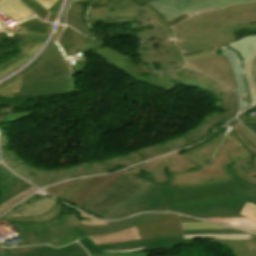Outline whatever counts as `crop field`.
Segmentation results:
<instances>
[{
	"mask_svg": "<svg viewBox=\"0 0 256 256\" xmlns=\"http://www.w3.org/2000/svg\"><path fill=\"white\" fill-rule=\"evenodd\" d=\"M94 3L106 4L107 7L89 10L87 21L91 25L98 21L102 24H115L138 19L144 23L142 25L132 24L129 26L131 30L146 26L155 27L137 33L143 42L142 47L148 48V51L141 50L139 55L153 69L174 70L184 66L183 57L173 42L174 33L168 26L169 24L147 3L141 6L132 0H96Z\"/></svg>",
	"mask_w": 256,
	"mask_h": 256,
	"instance_id": "obj_1",
	"label": "crop field"
},
{
	"mask_svg": "<svg viewBox=\"0 0 256 256\" xmlns=\"http://www.w3.org/2000/svg\"><path fill=\"white\" fill-rule=\"evenodd\" d=\"M175 43L183 55L227 45L256 33V3L190 17L173 27Z\"/></svg>",
	"mask_w": 256,
	"mask_h": 256,
	"instance_id": "obj_2",
	"label": "crop field"
},
{
	"mask_svg": "<svg viewBox=\"0 0 256 256\" xmlns=\"http://www.w3.org/2000/svg\"><path fill=\"white\" fill-rule=\"evenodd\" d=\"M244 203L245 200L232 196L230 180L195 188L158 186L152 200L137 211L169 210L197 218L243 217L238 214Z\"/></svg>",
	"mask_w": 256,
	"mask_h": 256,
	"instance_id": "obj_3",
	"label": "crop field"
},
{
	"mask_svg": "<svg viewBox=\"0 0 256 256\" xmlns=\"http://www.w3.org/2000/svg\"><path fill=\"white\" fill-rule=\"evenodd\" d=\"M94 54L105 58L116 68L133 76L140 82L173 92L178 86L172 83L171 80H174L182 85L196 87L214 95L218 100L216 107H221L228 111H237L238 100L236 94L205 75L186 69L172 72H155L147 65L133 60L107 46L94 51ZM158 73L161 74L158 75Z\"/></svg>",
	"mask_w": 256,
	"mask_h": 256,
	"instance_id": "obj_4",
	"label": "crop field"
},
{
	"mask_svg": "<svg viewBox=\"0 0 256 256\" xmlns=\"http://www.w3.org/2000/svg\"><path fill=\"white\" fill-rule=\"evenodd\" d=\"M155 188L129 173L100 195L85 199L84 210L103 219H119L151 200Z\"/></svg>",
	"mask_w": 256,
	"mask_h": 256,
	"instance_id": "obj_5",
	"label": "crop field"
},
{
	"mask_svg": "<svg viewBox=\"0 0 256 256\" xmlns=\"http://www.w3.org/2000/svg\"><path fill=\"white\" fill-rule=\"evenodd\" d=\"M223 133L218 136L216 139H212L208 143L186 153L184 156L191 159L193 162L201 166L198 172L192 173H174L175 182H204L206 184L217 183L220 181H224L230 178H224V173L220 167L225 161L230 160L239 154L246 152L242 145H238L239 142L234 140L232 137L228 139V141L223 144L217 153L214 163L211 167L205 166L203 161L210 158L220 139L222 138ZM241 144V143H240Z\"/></svg>",
	"mask_w": 256,
	"mask_h": 256,
	"instance_id": "obj_6",
	"label": "crop field"
},
{
	"mask_svg": "<svg viewBox=\"0 0 256 256\" xmlns=\"http://www.w3.org/2000/svg\"><path fill=\"white\" fill-rule=\"evenodd\" d=\"M27 245L50 244L60 247L80 239L73 226L80 225L75 215L58 216L43 224L12 222Z\"/></svg>",
	"mask_w": 256,
	"mask_h": 256,
	"instance_id": "obj_7",
	"label": "crop field"
},
{
	"mask_svg": "<svg viewBox=\"0 0 256 256\" xmlns=\"http://www.w3.org/2000/svg\"><path fill=\"white\" fill-rule=\"evenodd\" d=\"M70 75V78L65 76ZM78 91L70 69L42 74L23 75L21 93L17 97L59 95Z\"/></svg>",
	"mask_w": 256,
	"mask_h": 256,
	"instance_id": "obj_8",
	"label": "crop field"
},
{
	"mask_svg": "<svg viewBox=\"0 0 256 256\" xmlns=\"http://www.w3.org/2000/svg\"><path fill=\"white\" fill-rule=\"evenodd\" d=\"M129 172L122 170L118 173L67 181L46 189L53 196L66 199L83 209V199L95 196L111 186L121 176ZM62 190L61 192L59 190Z\"/></svg>",
	"mask_w": 256,
	"mask_h": 256,
	"instance_id": "obj_9",
	"label": "crop field"
},
{
	"mask_svg": "<svg viewBox=\"0 0 256 256\" xmlns=\"http://www.w3.org/2000/svg\"><path fill=\"white\" fill-rule=\"evenodd\" d=\"M256 0H153L148 4L166 21L184 13L188 17L211 11L231 4L255 2Z\"/></svg>",
	"mask_w": 256,
	"mask_h": 256,
	"instance_id": "obj_10",
	"label": "crop field"
},
{
	"mask_svg": "<svg viewBox=\"0 0 256 256\" xmlns=\"http://www.w3.org/2000/svg\"><path fill=\"white\" fill-rule=\"evenodd\" d=\"M114 163L109 159L87 161L67 167L55 168L52 171L41 169L31 183L37 186H45L58 180L71 178L75 175L103 173L115 169Z\"/></svg>",
	"mask_w": 256,
	"mask_h": 256,
	"instance_id": "obj_11",
	"label": "crop field"
},
{
	"mask_svg": "<svg viewBox=\"0 0 256 256\" xmlns=\"http://www.w3.org/2000/svg\"><path fill=\"white\" fill-rule=\"evenodd\" d=\"M77 242L90 253L103 252L102 250H126L138 247H145L147 251L171 249L175 245L190 244L193 242V239H183L182 234L179 233L144 241L137 240L125 243L104 244L97 246L93 242H91L87 237H84Z\"/></svg>",
	"mask_w": 256,
	"mask_h": 256,
	"instance_id": "obj_12",
	"label": "crop field"
},
{
	"mask_svg": "<svg viewBox=\"0 0 256 256\" xmlns=\"http://www.w3.org/2000/svg\"><path fill=\"white\" fill-rule=\"evenodd\" d=\"M216 53L217 51L187 58L185 59V67L207 74L236 92L234 79L227 59Z\"/></svg>",
	"mask_w": 256,
	"mask_h": 256,
	"instance_id": "obj_13",
	"label": "crop field"
},
{
	"mask_svg": "<svg viewBox=\"0 0 256 256\" xmlns=\"http://www.w3.org/2000/svg\"><path fill=\"white\" fill-rule=\"evenodd\" d=\"M62 205L47 196L31 204L7 212L4 217L8 221L43 223L56 218Z\"/></svg>",
	"mask_w": 256,
	"mask_h": 256,
	"instance_id": "obj_14",
	"label": "crop field"
},
{
	"mask_svg": "<svg viewBox=\"0 0 256 256\" xmlns=\"http://www.w3.org/2000/svg\"><path fill=\"white\" fill-rule=\"evenodd\" d=\"M227 46L241 56L246 85L250 93L251 105H253L256 103V86L252 75V62L256 58V35L241 38Z\"/></svg>",
	"mask_w": 256,
	"mask_h": 256,
	"instance_id": "obj_15",
	"label": "crop field"
},
{
	"mask_svg": "<svg viewBox=\"0 0 256 256\" xmlns=\"http://www.w3.org/2000/svg\"><path fill=\"white\" fill-rule=\"evenodd\" d=\"M166 213H144L131 218H127L123 221L113 222L111 224H105L102 226H84L80 225L74 227V230L80 236H90L97 234L114 233L130 227H134L140 224L150 222Z\"/></svg>",
	"mask_w": 256,
	"mask_h": 256,
	"instance_id": "obj_16",
	"label": "crop field"
},
{
	"mask_svg": "<svg viewBox=\"0 0 256 256\" xmlns=\"http://www.w3.org/2000/svg\"><path fill=\"white\" fill-rule=\"evenodd\" d=\"M185 144H187L185 140L181 136H178V137L171 138L165 142L153 145L151 147L133 151L127 156L117 157L111 160L115 162V165L119 164L125 167L131 164H135V163L150 159L156 155L170 152ZM150 150H152V152H150ZM143 153H145V155H143Z\"/></svg>",
	"mask_w": 256,
	"mask_h": 256,
	"instance_id": "obj_17",
	"label": "crop field"
},
{
	"mask_svg": "<svg viewBox=\"0 0 256 256\" xmlns=\"http://www.w3.org/2000/svg\"><path fill=\"white\" fill-rule=\"evenodd\" d=\"M220 49H222L221 55H223L225 58L229 60V63L232 69V73H233L236 87H237V92L240 98V105H239V112H240L241 110L247 108L250 105V100H249V93L245 85V79L243 76L240 56L238 55L237 52L233 51L230 48H227L226 46H223V47H217L211 50H205L202 52L186 55L184 56V58L214 51V50H220Z\"/></svg>",
	"mask_w": 256,
	"mask_h": 256,
	"instance_id": "obj_18",
	"label": "crop field"
},
{
	"mask_svg": "<svg viewBox=\"0 0 256 256\" xmlns=\"http://www.w3.org/2000/svg\"><path fill=\"white\" fill-rule=\"evenodd\" d=\"M7 249L9 256H88L87 252L78 243H72L61 248L43 245Z\"/></svg>",
	"mask_w": 256,
	"mask_h": 256,
	"instance_id": "obj_19",
	"label": "crop field"
},
{
	"mask_svg": "<svg viewBox=\"0 0 256 256\" xmlns=\"http://www.w3.org/2000/svg\"><path fill=\"white\" fill-rule=\"evenodd\" d=\"M64 53L61 48H57L54 40L50 43L40 60L26 73H41L44 71H54L68 68Z\"/></svg>",
	"mask_w": 256,
	"mask_h": 256,
	"instance_id": "obj_20",
	"label": "crop field"
},
{
	"mask_svg": "<svg viewBox=\"0 0 256 256\" xmlns=\"http://www.w3.org/2000/svg\"><path fill=\"white\" fill-rule=\"evenodd\" d=\"M234 115L235 114L224 112L221 114L206 116L197 127L183 134L182 137L186 139L188 145L197 143L209 135L207 131L211 125L216 124V122H219V125H223V122L225 123L227 120L234 117Z\"/></svg>",
	"mask_w": 256,
	"mask_h": 256,
	"instance_id": "obj_21",
	"label": "crop field"
},
{
	"mask_svg": "<svg viewBox=\"0 0 256 256\" xmlns=\"http://www.w3.org/2000/svg\"><path fill=\"white\" fill-rule=\"evenodd\" d=\"M240 215L248 218H223V219H205L249 231L256 232V205L246 201Z\"/></svg>",
	"mask_w": 256,
	"mask_h": 256,
	"instance_id": "obj_22",
	"label": "crop field"
},
{
	"mask_svg": "<svg viewBox=\"0 0 256 256\" xmlns=\"http://www.w3.org/2000/svg\"><path fill=\"white\" fill-rule=\"evenodd\" d=\"M103 42V39L89 40L69 29L65 31L59 40V44L63 48L66 56Z\"/></svg>",
	"mask_w": 256,
	"mask_h": 256,
	"instance_id": "obj_23",
	"label": "crop field"
},
{
	"mask_svg": "<svg viewBox=\"0 0 256 256\" xmlns=\"http://www.w3.org/2000/svg\"><path fill=\"white\" fill-rule=\"evenodd\" d=\"M209 243H220L228 246L234 256H256V236L253 235H250L248 240L216 239L209 241Z\"/></svg>",
	"mask_w": 256,
	"mask_h": 256,
	"instance_id": "obj_24",
	"label": "crop field"
},
{
	"mask_svg": "<svg viewBox=\"0 0 256 256\" xmlns=\"http://www.w3.org/2000/svg\"><path fill=\"white\" fill-rule=\"evenodd\" d=\"M141 240L181 232L179 221L165 222L162 224L142 227L137 229Z\"/></svg>",
	"mask_w": 256,
	"mask_h": 256,
	"instance_id": "obj_25",
	"label": "crop field"
},
{
	"mask_svg": "<svg viewBox=\"0 0 256 256\" xmlns=\"http://www.w3.org/2000/svg\"><path fill=\"white\" fill-rule=\"evenodd\" d=\"M165 161H167L168 173L182 171V170H188V169L196 168V166H197V165L196 166L193 165L192 163H190L189 161H187L186 159L181 157L176 152H174L168 156L152 160V161L146 163V165H148L150 168H152V167H154L158 164H161Z\"/></svg>",
	"mask_w": 256,
	"mask_h": 256,
	"instance_id": "obj_26",
	"label": "crop field"
},
{
	"mask_svg": "<svg viewBox=\"0 0 256 256\" xmlns=\"http://www.w3.org/2000/svg\"><path fill=\"white\" fill-rule=\"evenodd\" d=\"M88 238L96 244L125 242L140 239L135 227L114 234L90 236Z\"/></svg>",
	"mask_w": 256,
	"mask_h": 256,
	"instance_id": "obj_27",
	"label": "crop field"
},
{
	"mask_svg": "<svg viewBox=\"0 0 256 256\" xmlns=\"http://www.w3.org/2000/svg\"><path fill=\"white\" fill-rule=\"evenodd\" d=\"M142 169H144L146 172H149V174H151V176H146L143 179H146L147 181H150L154 184L168 182L166 162L152 169L147 167L145 164H142V165L134 166L128 169V171L138 176V173H140V170Z\"/></svg>",
	"mask_w": 256,
	"mask_h": 256,
	"instance_id": "obj_28",
	"label": "crop field"
},
{
	"mask_svg": "<svg viewBox=\"0 0 256 256\" xmlns=\"http://www.w3.org/2000/svg\"><path fill=\"white\" fill-rule=\"evenodd\" d=\"M231 175H232V185H233V196L249 200L256 204V187L250 186L242 182L233 169V164H231Z\"/></svg>",
	"mask_w": 256,
	"mask_h": 256,
	"instance_id": "obj_29",
	"label": "crop field"
},
{
	"mask_svg": "<svg viewBox=\"0 0 256 256\" xmlns=\"http://www.w3.org/2000/svg\"><path fill=\"white\" fill-rule=\"evenodd\" d=\"M0 36H8L12 41L16 40V38H22L24 39V41L16 43L17 45H21V44L35 42V41H43L46 34L42 35L25 28H23V30L19 33H13L10 31L9 28H6L0 31Z\"/></svg>",
	"mask_w": 256,
	"mask_h": 256,
	"instance_id": "obj_30",
	"label": "crop field"
},
{
	"mask_svg": "<svg viewBox=\"0 0 256 256\" xmlns=\"http://www.w3.org/2000/svg\"><path fill=\"white\" fill-rule=\"evenodd\" d=\"M8 17L17 21L32 15V13L18 0H14L0 9Z\"/></svg>",
	"mask_w": 256,
	"mask_h": 256,
	"instance_id": "obj_31",
	"label": "crop field"
},
{
	"mask_svg": "<svg viewBox=\"0 0 256 256\" xmlns=\"http://www.w3.org/2000/svg\"><path fill=\"white\" fill-rule=\"evenodd\" d=\"M103 46H105V43L94 46V47H91V48H88V49H85V50L80 51L78 53L72 54L73 59L68 60V62L71 66L73 74L75 75V74L85 72V70L87 68V64H88V61L86 60L85 55H84V53L86 51L95 50V49L103 47Z\"/></svg>",
	"mask_w": 256,
	"mask_h": 256,
	"instance_id": "obj_32",
	"label": "crop field"
},
{
	"mask_svg": "<svg viewBox=\"0 0 256 256\" xmlns=\"http://www.w3.org/2000/svg\"><path fill=\"white\" fill-rule=\"evenodd\" d=\"M80 11H81V7L75 4V2H73L70 8L69 17H68L69 24L72 25L74 28H76L78 31L86 34L89 37H92L88 29L85 27V25L81 21Z\"/></svg>",
	"mask_w": 256,
	"mask_h": 256,
	"instance_id": "obj_33",
	"label": "crop field"
},
{
	"mask_svg": "<svg viewBox=\"0 0 256 256\" xmlns=\"http://www.w3.org/2000/svg\"><path fill=\"white\" fill-rule=\"evenodd\" d=\"M31 185L21 181L16 180L14 181L9 187H7L5 190L2 191V202H5L9 198L13 197L14 195L18 194L19 192L23 191L27 187Z\"/></svg>",
	"mask_w": 256,
	"mask_h": 256,
	"instance_id": "obj_34",
	"label": "crop field"
},
{
	"mask_svg": "<svg viewBox=\"0 0 256 256\" xmlns=\"http://www.w3.org/2000/svg\"><path fill=\"white\" fill-rule=\"evenodd\" d=\"M36 188L34 187H29L23 192L19 193L18 195L14 196L13 198L9 199L5 203L0 205V214L7 210L9 207H11L13 204L17 203L20 199L24 198L27 195H30L33 191H35Z\"/></svg>",
	"mask_w": 256,
	"mask_h": 256,
	"instance_id": "obj_35",
	"label": "crop field"
},
{
	"mask_svg": "<svg viewBox=\"0 0 256 256\" xmlns=\"http://www.w3.org/2000/svg\"><path fill=\"white\" fill-rule=\"evenodd\" d=\"M18 25L28 28V29H31V30H34L36 32L42 33V34H45L47 32L48 26H49V25L40 23L36 19H33V20L29 19L21 24H18Z\"/></svg>",
	"mask_w": 256,
	"mask_h": 256,
	"instance_id": "obj_36",
	"label": "crop field"
},
{
	"mask_svg": "<svg viewBox=\"0 0 256 256\" xmlns=\"http://www.w3.org/2000/svg\"><path fill=\"white\" fill-rule=\"evenodd\" d=\"M182 230H194V229H229L209 223H180Z\"/></svg>",
	"mask_w": 256,
	"mask_h": 256,
	"instance_id": "obj_37",
	"label": "crop field"
},
{
	"mask_svg": "<svg viewBox=\"0 0 256 256\" xmlns=\"http://www.w3.org/2000/svg\"><path fill=\"white\" fill-rule=\"evenodd\" d=\"M16 177L8 172L3 165H0V187L9 186L14 180L18 179Z\"/></svg>",
	"mask_w": 256,
	"mask_h": 256,
	"instance_id": "obj_38",
	"label": "crop field"
},
{
	"mask_svg": "<svg viewBox=\"0 0 256 256\" xmlns=\"http://www.w3.org/2000/svg\"><path fill=\"white\" fill-rule=\"evenodd\" d=\"M184 238H199V237H217L229 239H247L248 234H216V235H183Z\"/></svg>",
	"mask_w": 256,
	"mask_h": 256,
	"instance_id": "obj_39",
	"label": "crop field"
},
{
	"mask_svg": "<svg viewBox=\"0 0 256 256\" xmlns=\"http://www.w3.org/2000/svg\"><path fill=\"white\" fill-rule=\"evenodd\" d=\"M183 234H215V233H244L236 230H195L182 231Z\"/></svg>",
	"mask_w": 256,
	"mask_h": 256,
	"instance_id": "obj_40",
	"label": "crop field"
},
{
	"mask_svg": "<svg viewBox=\"0 0 256 256\" xmlns=\"http://www.w3.org/2000/svg\"><path fill=\"white\" fill-rule=\"evenodd\" d=\"M236 126L242 132V134L244 135L245 139L256 147V135L253 134L248 129L244 128L240 123H237Z\"/></svg>",
	"mask_w": 256,
	"mask_h": 256,
	"instance_id": "obj_41",
	"label": "crop field"
},
{
	"mask_svg": "<svg viewBox=\"0 0 256 256\" xmlns=\"http://www.w3.org/2000/svg\"><path fill=\"white\" fill-rule=\"evenodd\" d=\"M172 220H179L178 218V215L176 214H167L155 221H152L150 223H147V224H144V225H140V226H137V227H142V226H147V225H151V224H157V223H162V222H165V221H172Z\"/></svg>",
	"mask_w": 256,
	"mask_h": 256,
	"instance_id": "obj_42",
	"label": "crop field"
},
{
	"mask_svg": "<svg viewBox=\"0 0 256 256\" xmlns=\"http://www.w3.org/2000/svg\"><path fill=\"white\" fill-rule=\"evenodd\" d=\"M79 212H80V211H79ZM80 215H81V217H87V218H89V219L92 220V221H87V220H82V221H80L81 224H84V225H102V224H105V223H106V222L100 221V220H98V219H96V218H93V217H91V216H89V215H86V214H84V213H82V212H80Z\"/></svg>",
	"mask_w": 256,
	"mask_h": 256,
	"instance_id": "obj_43",
	"label": "crop field"
},
{
	"mask_svg": "<svg viewBox=\"0 0 256 256\" xmlns=\"http://www.w3.org/2000/svg\"><path fill=\"white\" fill-rule=\"evenodd\" d=\"M90 256H146L142 253H124V254H114V253H90Z\"/></svg>",
	"mask_w": 256,
	"mask_h": 256,
	"instance_id": "obj_44",
	"label": "crop field"
},
{
	"mask_svg": "<svg viewBox=\"0 0 256 256\" xmlns=\"http://www.w3.org/2000/svg\"><path fill=\"white\" fill-rule=\"evenodd\" d=\"M39 2L42 6H44L46 9H50L57 0H36Z\"/></svg>",
	"mask_w": 256,
	"mask_h": 256,
	"instance_id": "obj_45",
	"label": "crop field"
},
{
	"mask_svg": "<svg viewBox=\"0 0 256 256\" xmlns=\"http://www.w3.org/2000/svg\"><path fill=\"white\" fill-rule=\"evenodd\" d=\"M185 18H187L186 14H184V15H182L180 17H177L175 19H172V20L168 21V23L173 25V24H175V23H177V22H179V21H181V20H183Z\"/></svg>",
	"mask_w": 256,
	"mask_h": 256,
	"instance_id": "obj_46",
	"label": "crop field"
},
{
	"mask_svg": "<svg viewBox=\"0 0 256 256\" xmlns=\"http://www.w3.org/2000/svg\"><path fill=\"white\" fill-rule=\"evenodd\" d=\"M255 111H256V109H255ZM245 119H246V116H245V115H242V116L240 117V120H241V122H242L243 124H248V125H254V126H256V120H255V121H248V122H245Z\"/></svg>",
	"mask_w": 256,
	"mask_h": 256,
	"instance_id": "obj_47",
	"label": "crop field"
},
{
	"mask_svg": "<svg viewBox=\"0 0 256 256\" xmlns=\"http://www.w3.org/2000/svg\"><path fill=\"white\" fill-rule=\"evenodd\" d=\"M135 251H146V250L145 248H139V249H130L126 251H105V252L123 253V252H135Z\"/></svg>",
	"mask_w": 256,
	"mask_h": 256,
	"instance_id": "obj_48",
	"label": "crop field"
},
{
	"mask_svg": "<svg viewBox=\"0 0 256 256\" xmlns=\"http://www.w3.org/2000/svg\"><path fill=\"white\" fill-rule=\"evenodd\" d=\"M180 222H202V221L190 219V218L183 217V216L180 215Z\"/></svg>",
	"mask_w": 256,
	"mask_h": 256,
	"instance_id": "obj_49",
	"label": "crop field"
},
{
	"mask_svg": "<svg viewBox=\"0 0 256 256\" xmlns=\"http://www.w3.org/2000/svg\"><path fill=\"white\" fill-rule=\"evenodd\" d=\"M0 256H8L6 248L0 247Z\"/></svg>",
	"mask_w": 256,
	"mask_h": 256,
	"instance_id": "obj_50",
	"label": "crop field"
},
{
	"mask_svg": "<svg viewBox=\"0 0 256 256\" xmlns=\"http://www.w3.org/2000/svg\"><path fill=\"white\" fill-rule=\"evenodd\" d=\"M253 74H254V79H255V83H256V59L253 63Z\"/></svg>",
	"mask_w": 256,
	"mask_h": 256,
	"instance_id": "obj_51",
	"label": "crop field"
},
{
	"mask_svg": "<svg viewBox=\"0 0 256 256\" xmlns=\"http://www.w3.org/2000/svg\"><path fill=\"white\" fill-rule=\"evenodd\" d=\"M133 1L136 2L137 4L141 5V4H143L145 2H148L150 0H133Z\"/></svg>",
	"mask_w": 256,
	"mask_h": 256,
	"instance_id": "obj_52",
	"label": "crop field"
},
{
	"mask_svg": "<svg viewBox=\"0 0 256 256\" xmlns=\"http://www.w3.org/2000/svg\"><path fill=\"white\" fill-rule=\"evenodd\" d=\"M9 1H11V0H0V6L8 3Z\"/></svg>",
	"mask_w": 256,
	"mask_h": 256,
	"instance_id": "obj_53",
	"label": "crop field"
},
{
	"mask_svg": "<svg viewBox=\"0 0 256 256\" xmlns=\"http://www.w3.org/2000/svg\"><path fill=\"white\" fill-rule=\"evenodd\" d=\"M245 126L250 128L251 130H253L256 133V127H254V126H247V125H245Z\"/></svg>",
	"mask_w": 256,
	"mask_h": 256,
	"instance_id": "obj_54",
	"label": "crop field"
},
{
	"mask_svg": "<svg viewBox=\"0 0 256 256\" xmlns=\"http://www.w3.org/2000/svg\"><path fill=\"white\" fill-rule=\"evenodd\" d=\"M83 1H89V5H90L92 0H79L78 2H83Z\"/></svg>",
	"mask_w": 256,
	"mask_h": 256,
	"instance_id": "obj_55",
	"label": "crop field"
},
{
	"mask_svg": "<svg viewBox=\"0 0 256 256\" xmlns=\"http://www.w3.org/2000/svg\"><path fill=\"white\" fill-rule=\"evenodd\" d=\"M76 2L78 1V0H75Z\"/></svg>",
	"mask_w": 256,
	"mask_h": 256,
	"instance_id": "obj_56",
	"label": "crop field"
}]
</instances>
